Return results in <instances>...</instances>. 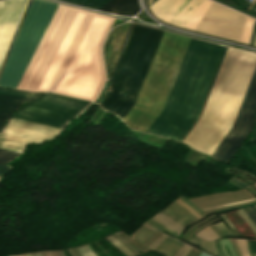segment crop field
Segmentation results:
<instances>
[{"mask_svg":"<svg viewBox=\"0 0 256 256\" xmlns=\"http://www.w3.org/2000/svg\"><path fill=\"white\" fill-rule=\"evenodd\" d=\"M28 256V254H26Z\"/></svg>","mask_w":256,"mask_h":256,"instance_id":"66","label":"crop field"},{"mask_svg":"<svg viewBox=\"0 0 256 256\" xmlns=\"http://www.w3.org/2000/svg\"><path fill=\"white\" fill-rule=\"evenodd\" d=\"M157 216L161 217V218L164 219L165 221H167V222H169V223H171V224L177 226L178 228H180V229L182 230L183 227H181L180 225H178L177 223H175L174 221H172V220L169 219L168 217H166V216H164V215H162V214H160V213H159ZM157 216L153 217L152 219L158 221L159 223H161V224H163V225L169 227L170 229H172V230H174V231H176V232H178V233L181 231V230H179L178 228L172 226L171 224L165 222L164 220L160 219V218L157 217Z\"/></svg>","mask_w":256,"mask_h":256,"instance_id":"24","label":"crop field"},{"mask_svg":"<svg viewBox=\"0 0 256 256\" xmlns=\"http://www.w3.org/2000/svg\"><path fill=\"white\" fill-rule=\"evenodd\" d=\"M164 210L171 213L175 217L181 219L182 221H184L187 224L199 219L195 215H193L191 212H189L187 209H185L183 206H181L179 203H177L176 201ZM166 211H162L160 213L168 216L169 218H171L172 220H174L175 222H177L178 224H180L183 227L185 225H187L184 222H182L181 220H179V219L175 218L174 216H172L171 214L167 213Z\"/></svg>","mask_w":256,"mask_h":256,"instance_id":"17","label":"crop field"},{"mask_svg":"<svg viewBox=\"0 0 256 256\" xmlns=\"http://www.w3.org/2000/svg\"><path fill=\"white\" fill-rule=\"evenodd\" d=\"M179 198L182 199L184 202H186L188 205H190L193 209H195L197 212H199L201 215L204 216V213L201 210H199L193 203H191L189 200H187L185 197L180 196Z\"/></svg>","mask_w":256,"mask_h":256,"instance_id":"38","label":"crop field"},{"mask_svg":"<svg viewBox=\"0 0 256 256\" xmlns=\"http://www.w3.org/2000/svg\"><path fill=\"white\" fill-rule=\"evenodd\" d=\"M99 10L122 16H134L140 11V7L138 0H110Z\"/></svg>","mask_w":256,"mask_h":256,"instance_id":"15","label":"crop field"},{"mask_svg":"<svg viewBox=\"0 0 256 256\" xmlns=\"http://www.w3.org/2000/svg\"><path fill=\"white\" fill-rule=\"evenodd\" d=\"M129 24L130 23H126L124 25L118 26V27L114 28L111 32L109 46L105 53L109 80H110V74L114 68L115 62L117 60L119 51L121 49L123 40L125 38L127 29L129 27ZM115 48H116V51H115V55H114V58H113V61L111 64V72L109 74V63H110V59L112 57V54H113Z\"/></svg>","mask_w":256,"mask_h":256,"instance_id":"14","label":"crop field"},{"mask_svg":"<svg viewBox=\"0 0 256 256\" xmlns=\"http://www.w3.org/2000/svg\"><path fill=\"white\" fill-rule=\"evenodd\" d=\"M177 202H179L181 205H183L185 208H187L189 211H191L193 214H195L197 217L201 218L202 216L199 215L195 210H193L190 206H188L186 203H184L182 200H180L179 198L176 200Z\"/></svg>","mask_w":256,"mask_h":256,"instance_id":"35","label":"crop field"},{"mask_svg":"<svg viewBox=\"0 0 256 256\" xmlns=\"http://www.w3.org/2000/svg\"><path fill=\"white\" fill-rule=\"evenodd\" d=\"M220 218H218V219H215V220H219ZM215 220H213V221H215ZM212 222V221H211ZM210 223V222H209ZM208 224V223H207ZM207 224H205V225H207ZM205 225H203V226H205ZM203 226H201V227H203ZM201 227H199V228H201ZM199 228H197L187 239H186V241L199 229Z\"/></svg>","mask_w":256,"mask_h":256,"instance_id":"50","label":"crop field"},{"mask_svg":"<svg viewBox=\"0 0 256 256\" xmlns=\"http://www.w3.org/2000/svg\"><path fill=\"white\" fill-rule=\"evenodd\" d=\"M46 256H52L50 251L45 252ZM45 254L43 252H41V256H45Z\"/></svg>","mask_w":256,"mask_h":256,"instance_id":"52","label":"crop field"},{"mask_svg":"<svg viewBox=\"0 0 256 256\" xmlns=\"http://www.w3.org/2000/svg\"><path fill=\"white\" fill-rule=\"evenodd\" d=\"M225 48L190 39L165 105L147 133L181 141L200 114Z\"/></svg>","mask_w":256,"mask_h":256,"instance_id":"2","label":"crop field"},{"mask_svg":"<svg viewBox=\"0 0 256 256\" xmlns=\"http://www.w3.org/2000/svg\"><path fill=\"white\" fill-rule=\"evenodd\" d=\"M10 167L8 166H5V165H0V176H3L7 170L9 169Z\"/></svg>","mask_w":256,"mask_h":256,"instance_id":"43","label":"crop field"},{"mask_svg":"<svg viewBox=\"0 0 256 256\" xmlns=\"http://www.w3.org/2000/svg\"><path fill=\"white\" fill-rule=\"evenodd\" d=\"M256 202V201H255ZM249 203H252V202H249ZM243 204H247V203H243ZM239 205H242V204H239ZM236 206H238V205H236ZM233 207V206H232ZM226 208H228V207H226ZM220 209H223V208H220ZM215 210H219V209H215ZM215 210H211V211H215ZM211 211H206L205 213H207V212H211Z\"/></svg>","mask_w":256,"mask_h":256,"instance_id":"54","label":"crop field"},{"mask_svg":"<svg viewBox=\"0 0 256 256\" xmlns=\"http://www.w3.org/2000/svg\"><path fill=\"white\" fill-rule=\"evenodd\" d=\"M255 140H256V127H255V131H254L253 135L251 136V138L249 139V141L246 144L251 143Z\"/></svg>","mask_w":256,"mask_h":256,"instance_id":"47","label":"crop field"},{"mask_svg":"<svg viewBox=\"0 0 256 256\" xmlns=\"http://www.w3.org/2000/svg\"><path fill=\"white\" fill-rule=\"evenodd\" d=\"M153 233L154 232L142 226L137 231H135L131 236L142 243Z\"/></svg>","mask_w":256,"mask_h":256,"instance_id":"23","label":"crop field"},{"mask_svg":"<svg viewBox=\"0 0 256 256\" xmlns=\"http://www.w3.org/2000/svg\"><path fill=\"white\" fill-rule=\"evenodd\" d=\"M59 131L55 128L10 119L0 134V148L21 153L26 144L46 140Z\"/></svg>","mask_w":256,"mask_h":256,"instance_id":"10","label":"crop field"},{"mask_svg":"<svg viewBox=\"0 0 256 256\" xmlns=\"http://www.w3.org/2000/svg\"><path fill=\"white\" fill-rule=\"evenodd\" d=\"M198 246L208 250L209 252L215 254L212 241L200 240Z\"/></svg>","mask_w":256,"mask_h":256,"instance_id":"31","label":"crop field"},{"mask_svg":"<svg viewBox=\"0 0 256 256\" xmlns=\"http://www.w3.org/2000/svg\"><path fill=\"white\" fill-rule=\"evenodd\" d=\"M186 247H187V245L184 244V245L180 248V250L176 253L175 256H179V255L182 253V251H183ZM190 249H191V247L188 246V247L184 250V252L182 253L181 256H186L187 253L190 251Z\"/></svg>","mask_w":256,"mask_h":256,"instance_id":"37","label":"crop field"},{"mask_svg":"<svg viewBox=\"0 0 256 256\" xmlns=\"http://www.w3.org/2000/svg\"><path fill=\"white\" fill-rule=\"evenodd\" d=\"M144 226H146L147 228H149V229H151V230H153V231H155V232L157 231V229L151 227L150 225H148V224H146V223L144 224Z\"/></svg>","mask_w":256,"mask_h":256,"instance_id":"51","label":"crop field"},{"mask_svg":"<svg viewBox=\"0 0 256 256\" xmlns=\"http://www.w3.org/2000/svg\"><path fill=\"white\" fill-rule=\"evenodd\" d=\"M61 251H62V250H61ZM58 253H59V251H58ZM60 253H61V252H60ZM60 253H59V255H60ZM62 253H63V251H62ZM55 254H56V256H58V254H57L56 251H55ZM52 255L55 256L53 251H52ZM63 255H64V253H63ZM61 256H62V254H61ZM64 256H65V255H64Z\"/></svg>","mask_w":256,"mask_h":256,"instance_id":"55","label":"crop field"},{"mask_svg":"<svg viewBox=\"0 0 256 256\" xmlns=\"http://www.w3.org/2000/svg\"><path fill=\"white\" fill-rule=\"evenodd\" d=\"M256 207V206H255Z\"/></svg>","mask_w":256,"mask_h":256,"instance_id":"67","label":"crop field"},{"mask_svg":"<svg viewBox=\"0 0 256 256\" xmlns=\"http://www.w3.org/2000/svg\"><path fill=\"white\" fill-rule=\"evenodd\" d=\"M253 211L247 212L245 209L249 208H242L244 212L248 215V217L253 221V223L256 225V208L254 206H250Z\"/></svg>","mask_w":256,"mask_h":256,"instance_id":"34","label":"crop field"},{"mask_svg":"<svg viewBox=\"0 0 256 256\" xmlns=\"http://www.w3.org/2000/svg\"><path fill=\"white\" fill-rule=\"evenodd\" d=\"M109 240L112 244H114L117 248H119L126 256H134L130 250H128L126 247H124L122 244H120L116 239L109 236L106 238Z\"/></svg>","mask_w":256,"mask_h":256,"instance_id":"29","label":"crop field"},{"mask_svg":"<svg viewBox=\"0 0 256 256\" xmlns=\"http://www.w3.org/2000/svg\"><path fill=\"white\" fill-rule=\"evenodd\" d=\"M253 21L254 19L251 17H247V21L245 24V28H244V32L242 35V39L240 42L242 43H249V39H250V35H251V31H252V26H253Z\"/></svg>","mask_w":256,"mask_h":256,"instance_id":"25","label":"crop field"},{"mask_svg":"<svg viewBox=\"0 0 256 256\" xmlns=\"http://www.w3.org/2000/svg\"><path fill=\"white\" fill-rule=\"evenodd\" d=\"M255 201V200H254ZM236 204H239V203H236ZM236 204H232V205H236ZM232 205H227V206H232ZM223 207H226V206H223ZM220 208V207H219ZM215 209V208H214ZM210 210V209H209ZM206 211V210H204Z\"/></svg>","mask_w":256,"mask_h":256,"instance_id":"56","label":"crop field"},{"mask_svg":"<svg viewBox=\"0 0 256 256\" xmlns=\"http://www.w3.org/2000/svg\"><path fill=\"white\" fill-rule=\"evenodd\" d=\"M113 21L59 4L17 88L96 99L105 81L101 44Z\"/></svg>","mask_w":256,"mask_h":256,"instance_id":"1","label":"crop field"},{"mask_svg":"<svg viewBox=\"0 0 256 256\" xmlns=\"http://www.w3.org/2000/svg\"><path fill=\"white\" fill-rule=\"evenodd\" d=\"M254 46H256V39H255V44H254Z\"/></svg>","mask_w":256,"mask_h":256,"instance_id":"58","label":"crop field"},{"mask_svg":"<svg viewBox=\"0 0 256 256\" xmlns=\"http://www.w3.org/2000/svg\"><path fill=\"white\" fill-rule=\"evenodd\" d=\"M255 67L256 55L228 49L203 115L184 143L211 155L233 125Z\"/></svg>","mask_w":256,"mask_h":256,"instance_id":"3","label":"crop field"},{"mask_svg":"<svg viewBox=\"0 0 256 256\" xmlns=\"http://www.w3.org/2000/svg\"><path fill=\"white\" fill-rule=\"evenodd\" d=\"M206 234H208L212 239L218 237V235L209 227H205L202 229ZM202 230L196 233V236L202 237L204 239L212 240L208 235H206Z\"/></svg>","mask_w":256,"mask_h":256,"instance_id":"27","label":"crop field"},{"mask_svg":"<svg viewBox=\"0 0 256 256\" xmlns=\"http://www.w3.org/2000/svg\"><path fill=\"white\" fill-rule=\"evenodd\" d=\"M237 211H238V210H237ZM239 211H240V212L243 214V216L253 225V227H254L255 230H256L255 225H254V224L251 222V220L244 214V212H243L241 209H239ZM239 211H238V213L241 215V213H240ZM241 216H242V215H241ZM243 216H242V217H243ZM244 217H243V218H244ZM245 218H244V219H245ZM246 219H245V220H246ZM247 220H246V221H247ZM248 221H247V223L252 227V225H251ZM253 227H252V229H253ZM253 231H254V229H253ZM254 233H255V235H256V232H255V231H254Z\"/></svg>","mask_w":256,"mask_h":256,"instance_id":"41","label":"crop field"},{"mask_svg":"<svg viewBox=\"0 0 256 256\" xmlns=\"http://www.w3.org/2000/svg\"><path fill=\"white\" fill-rule=\"evenodd\" d=\"M29 256H31V254H29Z\"/></svg>","mask_w":256,"mask_h":256,"instance_id":"65","label":"crop field"},{"mask_svg":"<svg viewBox=\"0 0 256 256\" xmlns=\"http://www.w3.org/2000/svg\"><path fill=\"white\" fill-rule=\"evenodd\" d=\"M70 250L72 251V253L74 254V256H82V255L80 254V252L78 251L77 248H75V249H70Z\"/></svg>","mask_w":256,"mask_h":256,"instance_id":"48","label":"crop field"},{"mask_svg":"<svg viewBox=\"0 0 256 256\" xmlns=\"http://www.w3.org/2000/svg\"><path fill=\"white\" fill-rule=\"evenodd\" d=\"M18 256H25V255H18Z\"/></svg>","mask_w":256,"mask_h":256,"instance_id":"61","label":"crop field"},{"mask_svg":"<svg viewBox=\"0 0 256 256\" xmlns=\"http://www.w3.org/2000/svg\"><path fill=\"white\" fill-rule=\"evenodd\" d=\"M58 4L32 0L0 76V86L16 88Z\"/></svg>","mask_w":256,"mask_h":256,"instance_id":"6","label":"crop field"},{"mask_svg":"<svg viewBox=\"0 0 256 256\" xmlns=\"http://www.w3.org/2000/svg\"><path fill=\"white\" fill-rule=\"evenodd\" d=\"M19 155V153L0 149V164H4Z\"/></svg>","mask_w":256,"mask_h":256,"instance_id":"26","label":"crop field"},{"mask_svg":"<svg viewBox=\"0 0 256 256\" xmlns=\"http://www.w3.org/2000/svg\"><path fill=\"white\" fill-rule=\"evenodd\" d=\"M29 0L0 1V66Z\"/></svg>","mask_w":256,"mask_h":256,"instance_id":"12","label":"crop field"},{"mask_svg":"<svg viewBox=\"0 0 256 256\" xmlns=\"http://www.w3.org/2000/svg\"><path fill=\"white\" fill-rule=\"evenodd\" d=\"M204 0H158L149 9L159 19L185 28Z\"/></svg>","mask_w":256,"mask_h":256,"instance_id":"11","label":"crop field"},{"mask_svg":"<svg viewBox=\"0 0 256 256\" xmlns=\"http://www.w3.org/2000/svg\"><path fill=\"white\" fill-rule=\"evenodd\" d=\"M214 216H216V215L213 214L212 216L206 218L205 220H207V219H209V218H211V217H214ZM205 220H203V221H201V222H199V223L193 225L192 227H190V228L181 236V238L184 239V238L187 236V234H188L193 228H195L197 225H199L200 223L204 222Z\"/></svg>","mask_w":256,"mask_h":256,"instance_id":"40","label":"crop field"},{"mask_svg":"<svg viewBox=\"0 0 256 256\" xmlns=\"http://www.w3.org/2000/svg\"><path fill=\"white\" fill-rule=\"evenodd\" d=\"M35 255H36V256H38V255L40 256V254H39V253H38V255H37V253H35Z\"/></svg>","mask_w":256,"mask_h":256,"instance_id":"57","label":"crop field"},{"mask_svg":"<svg viewBox=\"0 0 256 256\" xmlns=\"http://www.w3.org/2000/svg\"><path fill=\"white\" fill-rule=\"evenodd\" d=\"M253 256H256V254H252Z\"/></svg>","mask_w":256,"mask_h":256,"instance_id":"62","label":"crop field"},{"mask_svg":"<svg viewBox=\"0 0 256 256\" xmlns=\"http://www.w3.org/2000/svg\"><path fill=\"white\" fill-rule=\"evenodd\" d=\"M163 31L134 24L121 54L113 79L111 93L101 105L122 120L135 103L147 69ZM124 88L118 92L124 78ZM129 88L127 95L121 100Z\"/></svg>","mask_w":256,"mask_h":256,"instance_id":"5","label":"crop field"},{"mask_svg":"<svg viewBox=\"0 0 256 256\" xmlns=\"http://www.w3.org/2000/svg\"><path fill=\"white\" fill-rule=\"evenodd\" d=\"M147 222L152 224V225H154V226H156V227H158V228H160V229H162L163 231H165V232H167V233H169V234H171L173 236L177 235V233L167 229L166 227L162 226L161 224L157 223L156 221H154L152 219L148 220Z\"/></svg>","mask_w":256,"mask_h":256,"instance_id":"33","label":"crop field"},{"mask_svg":"<svg viewBox=\"0 0 256 256\" xmlns=\"http://www.w3.org/2000/svg\"><path fill=\"white\" fill-rule=\"evenodd\" d=\"M30 99L32 98L0 95V132L10 113L15 110L21 102L28 101Z\"/></svg>","mask_w":256,"mask_h":256,"instance_id":"16","label":"crop field"},{"mask_svg":"<svg viewBox=\"0 0 256 256\" xmlns=\"http://www.w3.org/2000/svg\"><path fill=\"white\" fill-rule=\"evenodd\" d=\"M167 236L165 235H161L156 241H154L150 246L149 248H153L155 249Z\"/></svg>","mask_w":256,"mask_h":256,"instance_id":"36","label":"crop field"},{"mask_svg":"<svg viewBox=\"0 0 256 256\" xmlns=\"http://www.w3.org/2000/svg\"><path fill=\"white\" fill-rule=\"evenodd\" d=\"M192 250H193V248L191 249V251H192ZM191 251L188 253V255H187V256H189V255H190ZM198 253H199V251H197V250H195V249H194L190 256H197V255H198Z\"/></svg>","mask_w":256,"mask_h":256,"instance_id":"49","label":"crop field"},{"mask_svg":"<svg viewBox=\"0 0 256 256\" xmlns=\"http://www.w3.org/2000/svg\"><path fill=\"white\" fill-rule=\"evenodd\" d=\"M246 17L212 1L194 30L239 42Z\"/></svg>","mask_w":256,"mask_h":256,"instance_id":"9","label":"crop field"},{"mask_svg":"<svg viewBox=\"0 0 256 256\" xmlns=\"http://www.w3.org/2000/svg\"><path fill=\"white\" fill-rule=\"evenodd\" d=\"M170 238H166L157 248L156 250H160L168 241ZM183 243L178 242L176 240L171 239L159 252L167 255L172 256L181 246ZM155 250V251H156Z\"/></svg>","mask_w":256,"mask_h":256,"instance_id":"19","label":"crop field"},{"mask_svg":"<svg viewBox=\"0 0 256 256\" xmlns=\"http://www.w3.org/2000/svg\"><path fill=\"white\" fill-rule=\"evenodd\" d=\"M91 102L48 93L11 118L62 129Z\"/></svg>","mask_w":256,"mask_h":256,"instance_id":"7","label":"crop field"},{"mask_svg":"<svg viewBox=\"0 0 256 256\" xmlns=\"http://www.w3.org/2000/svg\"><path fill=\"white\" fill-rule=\"evenodd\" d=\"M222 215V214H221ZM224 215V214H223ZM222 215V216H223ZM224 217L226 218V216L224 215ZM223 217V218H224ZM224 218V219H225ZM227 219V218H226ZM225 219V220H226ZM228 220V219H227ZM228 222L231 224V222L228 220ZM228 223V224H229ZM229 224V225H230ZM232 225V224H231ZM230 225V226H231ZM232 227L235 229V227L232 225ZM231 227V228H232ZM211 228L219 235V236H223V235H233V233H234V235H236V233H237V231H236V229H235V231H236V233H235V231H234V229L232 228L231 230H232V232H231V230H227V228L221 223V222H219V223H216V224H213V225H211ZM237 235H238V233H237Z\"/></svg>","mask_w":256,"mask_h":256,"instance_id":"21","label":"crop field"},{"mask_svg":"<svg viewBox=\"0 0 256 256\" xmlns=\"http://www.w3.org/2000/svg\"><path fill=\"white\" fill-rule=\"evenodd\" d=\"M190 38L163 32L138 99L124 121L145 132L162 109Z\"/></svg>","mask_w":256,"mask_h":256,"instance_id":"4","label":"crop field"},{"mask_svg":"<svg viewBox=\"0 0 256 256\" xmlns=\"http://www.w3.org/2000/svg\"><path fill=\"white\" fill-rule=\"evenodd\" d=\"M216 241H217V246H218L219 255H220V256H224L223 253H222L221 250H220V246H219L218 240H216ZM216 241L214 240L213 242H214V246H215L216 255L219 256V255H218V251H217Z\"/></svg>","mask_w":256,"mask_h":256,"instance_id":"44","label":"crop field"},{"mask_svg":"<svg viewBox=\"0 0 256 256\" xmlns=\"http://www.w3.org/2000/svg\"><path fill=\"white\" fill-rule=\"evenodd\" d=\"M248 189L251 190L253 194L256 196V190L252 186L248 187Z\"/></svg>","mask_w":256,"mask_h":256,"instance_id":"53","label":"crop field"},{"mask_svg":"<svg viewBox=\"0 0 256 256\" xmlns=\"http://www.w3.org/2000/svg\"><path fill=\"white\" fill-rule=\"evenodd\" d=\"M252 197H253L252 195H250L245 189H243L240 191H231V192L203 195L199 197L190 198L189 200L193 202L195 205H197L200 209H202L210 206L226 204L234 201H240V200H244ZM253 199L255 198L248 199V200H253ZM244 201H247V200H244ZM210 208H213V207H210Z\"/></svg>","mask_w":256,"mask_h":256,"instance_id":"13","label":"crop field"},{"mask_svg":"<svg viewBox=\"0 0 256 256\" xmlns=\"http://www.w3.org/2000/svg\"><path fill=\"white\" fill-rule=\"evenodd\" d=\"M32 255L34 256V254L32 253Z\"/></svg>","mask_w":256,"mask_h":256,"instance_id":"64","label":"crop field"},{"mask_svg":"<svg viewBox=\"0 0 256 256\" xmlns=\"http://www.w3.org/2000/svg\"><path fill=\"white\" fill-rule=\"evenodd\" d=\"M210 3H211V0H206L203 3V5L197 11L195 16L190 21V23L187 25V27H186L187 29L193 30V28L195 27V25L197 24V22L199 21V19L201 18V16L203 15V13L205 12V10L207 9V7L209 6Z\"/></svg>","mask_w":256,"mask_h":256,"instance_id":"22","label":"crop field"},{"mask_svg":"<svg viewBox=\"0 0 256 256\" xmlns=\"http://www.w3.org/2000/svg\"><path fill=\"white\" fill-rule=\"evenodd\" d=\"M199 240H200V238L193 236V237L189 240V242L194 243V244L197 245L198 242H199Z\"/></svg>","mask_w":256,"mask_h":256,"instance_id":"46","label":"crop field"},{"mask_svg":"<svg viewBox=\"0 0 256 256\" xmlns=\"http://www.w3.org/2000/svg\"><path fill=\"white\" fill-rule=\"evenodd\" d=\"M70 254L73 256V254L71 253V251L69 250Z\"/></svg>","mask_w":256,"mask_h":256,"instance_id":"59","label":"crop field"},{"mask_svg":"<svg viewBox=\"0 0 256 256\" xmlns=\"http://www.w3.org/2000/svg\"><path fill=\"white\" fill-rule=\"evenodd\" d=\"M11 256H16V255H11Z\"/></svg>","mask_w":256,"mask_h":256,"instance_id":"63","label":"crop field"},{"mask_svg":"<svg viewBox=\"0 0 256 256\" xmlns=\"http://www.w3.org/2000/svg\"><path fill=\"white\" fill-rule=\"evenodd\" d=\"M219 241H220V245H221V247H222L223 253H224L226 256H229V255H228L227 252L225 251V248H224L225 245H227V247H228V249H229L231 255H232V256H235V254H234V252H233V250H232V248H231V246H230V243H229L228 238H221V239H219Z\"/></svg>","mask_w":256,"mask_h":256,"instance_id":"32","label":"crop field"},{"mask_svg":"<svg viewBox=\"0 0 256 256\" xmlns=\"http://www.w3.org/2000/svg\"><path fill=\"white\" fill-rule=\"evenodd\" d=\"M230 242H231V244H232V246H233V248H234V250H235L237 256H241L240 253H239V251H238V248H237L235 239H230Z\"/></svg>","mask_w":256,"mask_h":256,"instance_id":"42","label":"crop field"},{"mask_svg":"<svg viewBox=\"0 0 256 256\" xmlns=\"http://www.w3.org/2000/svg\"><path fill=\"white\" fill-rule=\"evenodd\" d=\"M255 112L256 70L254 72L251 83L249 85L246 96L244 98V101L242 103V106L240 108L239 114L233 127L225 136V138L221 141V143L218 145L215 151L212 153V155L210 156L211 158L223 163H226L229 160V158L236 152V150L240 147L242 142L250 133L253 121L255 119ZM234 135L235 137L233 138ZM231 139L232 141L230 142ZM228 143L229 145L227 146ZM225 147L226 149L224 150ZM222 151L223 153L221 154ZM220 154L221 156L218 157Z\"/></svg>","mask_w":256,"mask_h":256,"instance_id":"8","label":"crop field"},{"mask_svg":"<svg viewBox=\"0 0 256 256\" xmlns=\"http://www.w3.org/2000/svg\"><path fill=\"white\" fill-rule=\"evenodd\" d=\"M255 33H256V26L254 25L250 45H253L254 43Z\"/></svg>","mask_w":256,"mask_h":256,"instance_id":"45","label":"crop field"},{"mask_svg":"<svg viewBox=\"0 0 256 256\" xmlns=\"http://www.w3.org/2000/svg\"><path fill=\"white\" fill-rule=\"evenodd\" d=\"M239 251L242 256H249L248 251H247V243L246 240L243 239H236Z\"/></svg>","mask_w":256,"mask_h":256,"instance_id":"30","label":"crop field"},{"mask_svg":"<svg viewBox=\"0 0 256 256\" xmlns=\"http://www.w3.org/2000/svg\"><path fill=\"white\" fill-rule=\"evenodd\" d=\"M83 248H84V250L88 253L89 256H96V255L92 252V250L89 248L88 245L84 246ZM79 250H80V252H81V254H82L83 256H86V255H87V254L85 255L86 252L84 253V251L81 249V247H79Z\"/></svg>","mask_w":256,"mask_h":256,"instance_id":"39","label":"crop field"},{"mask_svg":"<svg viewBox=\"0 0 256 256\" xmlns=\"http://www.w3.org/2000/svg\"><path fill=\"white\" fill-rule=\"evenodd\" d=\"M256 188V184L253 185Z\"/></svg>","mask_w":256,"mask_h":256,"instance_id":"60","label":"crop field"},{"mask_svg":"<svg viewBox=\"0 0 256 256\" xmlns=\"http://www.w3.org/2000/svg\"><path fill=\"white\" fill-rule=\"evenodd\" d=\"M0 94L29 96V97H35V96L38 95V94H35V93L24 92V91H17V90H11V89H0Z\"/></svg>","mask_w":256,"mask_h":256,"instance_id":"28","label":"crop field"},{"mask_svg":"<svg viewBox=\"0 0 256 256\" xmlns=\"http://www.w3.org/2000/svg\"><path fill=\"white\" fill-rule=\"evenodd\" d=\"M121 236H123L125 239H127L129 242H131V243H133L134 245H136L138 248H140L142 251H144L145 253L147 252V251H149L150 249H148V248H146V247H144V246H142L141 244H139L138 242H136L135 240H133L132 239V237H130V236H128V235H126V234H124L122 231H120V232H118ZM118 233H116V234H113L112 236L113 237H115L117 240H119L122 244H124V245H126L136 256H138V255H141L139 252H137L131 245H129L128 243V241L127 240H125L123 237H121ZM162 233H160V232H156L155 234H153L147 241H145L144 243H143V245H145V246H149L154 240H156L160 235H161ZM128 242V243H127ZM133 245V246H134ZM136 246H134L138 251H140V252H142L140 249H138ZM144 252H142V253H144ZM148 253V252H147Z\"/></svg>","mask_w":256,"mask_h":256,"instance_id":"18","label":"crop field"},{"mask_svg":"<svg viewBox=\"0 0 256 256\" xmlns=\"http://www.w3.org/2000/svg\"><path fill=\"white\" fill-rule=\"evenodd\" d=\"M62 1H66V2H69L72 4H76V5H80V6L98 10L109 0H62Z\"/></svg>","mask_w":256,"mask_h":256,"instance_id":"20","label":"crop field"}]
</instances>
